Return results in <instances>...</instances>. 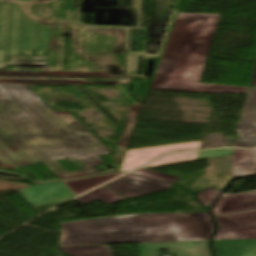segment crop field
Returning <instances> with one entry per match:
<instances>
[{
    "label": "crop field",
    "mask_w": 256,
    "mask_h": 256,
    "mask_svg": "<svg viewBox=\"0 0 256 256\" xmlns=\"http://www.w3.org/2000/svg\"><path fill=\"white\" fill-rule=\"evenodd\" d=\"M102 154L66 117L48 115L18 85L0 84V166L42 161L60 180L100 174ZM81 170L66 173L57 159Z\"/></svg>",
    "instance_id": "8a807250"
},
{
    "label": "crop field",
    "mask_w": 256,
    "mask_h": 256,
    "mask_svg": "<svg viewBox=\"0 0 256 256\" xmlns=\"http://www.w3.org/2000/svg\"><path fill=\"white\" fill-rule=\"evenodd\" d=\"M68 233L59 245L125 244L209 240L208 213L136 214L61 223Z\"/></svg>",
    "instance_id": "ac0d7876"
},
{
    "label": "crop field",
    "mask_w": 256,
    "mask_h": 256,
    "mask_svg": "<svg viewBox=\"0 0 256 256\" xmlns=\"http://www.w3.org/2000/svg\"><path fill=\"white\" fill-rule=\"evenodd\" d=\"M220 15L178 13L150 89L241 93L249 88L199 83Z\"/></svg>",
    "instance_id": "34b2d1b8"
},
{
    "label": "crop field",
    "mask_w": 256,
    "mask_h": 256,
    "mask_svg": "<svg viewBox=\"0 0 256 256\" xmlns=\"http://www.w3.org/2000/svg\"><path fill=\"white\" fill-rule=\"evenodd\" d=\"M214 218L219 227L214 240L256 239V210Z\"/></svg>",
    "instance_id": "412701ff"
},
{
    "label": "crop field",
    "mask_w": 256,
    "mask_h": 256,
    "mask_svg": "<svg viewBox=\"0 0 256 256\" xmlns=\"http://www.w3.org/2000/svg\"><path fill=\"white\" fill-rule=\"evenodd\" d=\"M104 186L119 194L120 196L129 199L145 194L167 190L173 185L139 176L126 175Z\"/></svg>",
    "instance_id": "f4fd0767"
},
{
    "label": "crop field",
    "mask_w": 256,
    "mask_h": 256,
    "mask_svg": "<svg viewBox=\"0 0 256 256\" xmlns=\"http://www.w3.org/2000/svg\"><path fill=\"white\" fill-rule=\"evenodd\" d=\"M18 194L31 207L61 203L76 196L62 182L25 188L19 191Z\"/></svg>",
    "instance_id": "dd49c442"
},
{
    "label": "crop field",
    "mask_w": 256,
    "mask_h": 256,
    "mask_svg": "<svg viewBox=\"0 0 256 256\" xmlns=\"http://www.w3.org/2000/svg\"><path fill=\"white\" fill-rule=\"evenodd\" d=\"M200 143L201 141L127 151L120 172H127L169 152L198 149Z\"/></svg>",
    "instance_id": "e52e79f7"
},
{
    "label": "crop field",
    "mask_w": 256,
    "mask_h": 256,
    "mask_svg": "<svg viewBox=\"0 0 256 256\" xmlns=\"http://www.w3.org/2000/svg\"><path fill=\"white\" fill-rule=\"evenodd\" d=\"M236 128L240 138L230 146L256 148V89H250L241 120Z\"/></svg>",
    "instance_id": "d8731c3e"
},
{
    "label": "crop field",
    "mask_w": 256,
    "mask_h": 256,
    "mask_svg": "<svg viewBox=\"0 0 256 256\" xmlns=\"http://www.w3.org/2000/svg\"><path fill=\"white\" fill-rule=\"evenodd\" d=\"M209 241L140 244L141 256H157L159 249H170L175 256H212Z\"/></svg>",
    "instance_id": "5a996713"
},
{
    "label": "crop field",
    "mask_w": 256,
    "mask_h": 256,
    "mask_svg": "<svg viewBox=\"0 0 256 256\" xmlns=\"http://www.w3.org/2000/svg\"><path fill=\"white\" fill-rule=\"evenodd\" d=\"M256 209V191L226 194L223 193L212 208L214 216Z\"/></svg>",
    "instance_id": "3316defc"
},
{
    "label": "crop field",
    "mask_w": 256,
    "mask_h": 256,
    "mask_svg": "<svg viewBox=\"0 0 256 256\" xmlns=\"http://www.w3.org/2000/svg\"><path fill=\"white\" fill-rule=\"evenodd\" d=\"M231 165L237 166L238 177L256 172V150L234 149Z\"/></svg>",
    "instance_id": "28ad6ade"
},
{
    "label": "crop field",
    "mask_w": 256,
    "mask_h": 256,
    "mask_svg": "<svg viewBox=\"0 0 256 256\" xmlns=\"http://www.w3.org/2000/svg\"><path fill=\"white\" fill-rule=\"evenodd\" d=\"M123 173H116V174H110V175H104V176H98L93 178H87V179H81V180H75V181H69V182H63L73 193L76 195L89 190L97 185H100L112 178H115Z\"/></svg>",
    "instance_id": "d1516ede"
},
{
    "label": "crop field",
    "mask_w": 256,
    "mask_h": 256,
    "mask_svg": "<svg viewBox=\"0 0 256 256\" xmlns=\"http://www.w3.org/2000/svg\"><path fill=\"white\" fill-rule=\"evenodd\" d=\"M60 248L70 256H111L106 245L60 246Z\"/></svg>",
    "instance_id": "22f410ed"
},
{
    "label": "crop field",
    "mask_w": 256,
    "mask_h": 256,
    "mask_svg": "<svg viewBox=\"0 0 256 256\" xmlns=\"http://www.w3.org/2000/svg\"><path fill=\"white\" fill-rule=\"evenodd\" d=\"M76 200L83 202L85 204H88L96 200H102L108 204H111L120 200H124V198L120 197L119 195L102 186Z\"/></svg>",
    "instance_id": "cbeb9de0"
},
{
    "label": "crop field",
    "mask_w": 256,
    "mask_h": 256,
    "mask_svg": "<svg viewBox=\"0 0 256 256\" xmlns=\"http://www.w3.org/2000/svg\"><path fill=\"white\" fill-rule=\"evenodd\" d=\"M197 153L198 152H190V153H180V154H176V155L167 156V157L160 159L144 168L192 161V160L196 159Z\"/></svg>",
    "instance_id": "5142ce71"
},
{
    "label": "crop field",
    "mask_w": 256,
    "mask_h": 256,
    "mask_svg": "<svg viewBox=\"0 0 256 256\" xmlns=\"http://www.w3.org/2000/svg\"><path fill=\"white\" fill-rule=\"evenodd\" d=\"M131 174H135V175H139V176H143V177H147L155 180L171 182V183H175L179 179V177H174V176H170V175H166V174H162V173H158V172H154L146 169H139Z\"/></svg>",
    "instance_id": "d9b57169"
},
{
    "label": "crop field",
    "mask_w": 256,
    "mask_h": 256,
    "mask_svg": "<svg viewBox=\"0 0 256 256\" xmlns=\"http://www.w3.org/2000/svg\"><path fill=\"white\" fill-rule=\"evenodd\" d=\"M221 191L217 190H206L204 192H200L198 194V199L202 202L205 206L210 207L216 197L219 195Z\"/></svg>",
    "instance_id": "733c2abd"
},
{
    "label": "crop field",
    "mask_w": 256,
    "mask_h": 256,
    "mask_svg": "<svg viewBox=\"0 0 256 256\" xmlns=\"http://www.w3.org/2000/svg\"><path fill=\"white\" fill-rule=\"evenodd\" d=\"M232 151H233V149H222V150H213V151H203V152H199V153H198V156H197V159H196V160L232 154Z\"/></svg>",
    "instance_id": "4a817a6b"
},
{
    "label": "crop field",
    "mask_w": 256,
    "mask_h": 256,
    "mask_svg": "<svg viewBox=\"0 0 256 256\" xmlns=\"http://www.w3.org/2000/svg\"><path fill=\"white\" fill-rule=\"evenodd\" d=\"M250 86L256 87V60Z\"/></svg>",
    "instance_id": "bc2a9ffb"
},
{
    "label": "crop field",
    "mask_w": 256,
    "mask_h": 256,
    "mask_svg": "<svg viewBox=\"0 0 256 256\" xmlns=\"http://www.w3.org/2000/svg\"><path fill=\"white\" fill-rule=\"evenodd\" d=\"M20 50H34V49H11V50H7L6 55L20 54Z\"/></svg>",
    "instance_id": "214f88e0"
},
{
    "label": "crop field",
    "mask_w": 256,
    "mask_h": 256,
    "mask_svg": "<svg viewBox=\"0 0 256 256\" xmlns=\"http://www.w3.org/2000/svg\"><path fill=\"white\" fill-rule=\"evenodd\" d=\"M0 83L16 84L14 80H0Z\"/></svg>",
    "instance_id": "92a150f3"
},
{
    "label": "crop field",
    "mask_w": 256,
    "mask_h": 256,
    "mask_svg": "<svg viewBox=\"0 0 256 256\" xmlns=\"http://www.w3.org/2000/svg\"><path fill=\"white\" fill-rule=\"evenodd\" d=\"M233 177H237L236 167L231 166Z\"/></svg>",
    "instance_id": "dafd665d"
}]
</instances>
